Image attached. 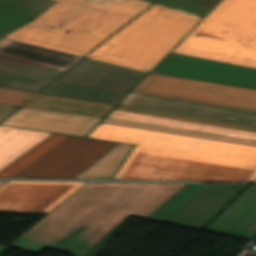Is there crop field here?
I'll return each mask as SVG.
<instances>
[{
  "label": "crop field",
  "mask_w": 256,
  "mask_h": 256,
  "mask_svg": "<svg viewBox=\"0 0 256 256\" xmlns=\"http://www.w3.org/2000/svg\"><path fill=\"white\" fill-rule=\"evenodd\" d=\"M207 184H188L147 219L163 222Z\"/></svg>",
  "instance_id": "24"
},
{
  "label": "crop field",
  "mask_w": 256,
  "mask_h": 256,
  "mask_svg": "<svg viewBox=\"0 0 256 256\" xmlns=\"http://www.w3.org/2000/svg\"><path fill=\"white\" fill-rule=\"evenodd\" d=\"M51 25L31 22L5 36L3 38L18 40L38 46H43L59 51H64L83 56L103 38L75 32L64 33L67 29L53 27Z\"/></svg>",
  "instance_id": "14"
},
{
  "label": "crop field",
  "mask_w": 256,
  "mask_h": 256,
  "mask_svg": "<svg viewBox=\"0 0 256 256\" xmlns=\"http://www.w3.org/2000/svg\"><path fill=\"white\" fill-rule=\"evenodd\" d=\"M16 107H10V106H3L0 105V120H2L4 117L9 115L11 112H13Z\"/></svg>",
  "instance_id": "30"
},
{
  "label": "crop field",
  "mask_w": 256,
  "mask_h": 256,
  "mask_svg": "<svg viewBox=\"0 0 256 256\" xmlns=\"http://www.w3.org/2000/svg\"><path fill=\"white\" fill-rule=\"evenodd\" d=\"M189 1L198 3L210 8H212L214 5H216L219 2V0H189Z\"/></svg>",
  "instance_id": "31"
},
{
  "label": "crop field",
  "mask_w": 256,
  "mask_h": 256,
  "mask_svg": "<svg viewBox=\"0 0 256 256\" xmlns=\"http://www.w3.org/2000/svg\"><path fill=\"white\" fill-rule=\"evenodd\" d=\"M86 57L149 72L164 55L107 40Z\"/></svg>",
  "instance_id": "17"
},
{
  "label": "crop field",
  "mask_w": 256,
  "mask_h": 256,
  "mask_svg": "<svg viewBox=\"0 0 256 256\" xmlns=\"http://www.w3.org/2000/svg\"><path fill=\"white\" fill-rule=\"evenodd\" d=\"M49 82L51 81L0 71V86L4 87L18 88L38 92Z\"/></svg>",
  "instance_id": "26"
},
{
  "label": "crop field",
  "mask_w": 256,
  "mask_h": 256,
  "mask_svg": "<svg viewBox=\"0 0 256 256\" xmlns=\"http://www.w3.org/2000/svg\"><path fill=\"white\" fill-rule=\"evenodd\" d=\"M41 93L116 104L125 94L53 82Z\"/></svg>",
  "instance_id": "21"
},
{
  "label": "crop field",
  "mask_w": 256,
  "mask_h": 256,
  "mask_svg": "<svg viewBox=\"0 0 256 256\" xmlns=\"http://www.w3.org/2000/svg\"><path fill=\"white\" fill-rule=\"evenodd\" d=\"M138 144L114 179L254 181L256 147L99 123L88 136Z\"/></svg>",
  "instance_id": "2"
},
{
  "label": "crop field",
  "mask_w": 256,
  "mask_h": 256,
  "mask_svg": "<svg viewBox=\"0 0 256 256\" xmlns=\"http://www.w3.org/2000/svg\"><path fill=\"white\" fill-rule=\"evenodd\" d=\"M115 109L129 111V112L142 113V114H148V115L167 117V118L186 120V121H193V122H199V123H205V124H212V125H218V126H224V127H231V128H237V129H243V130L256 131V128H253V127L221 123V122H215V121H209V120H202V119H196V118H190V117H184V116H177V115H171V114H165V113H158V112H152V111H146V110H140V109L121 107V106H117Z\"/></svg>",
  "instance_id": "27"
},
{
  "label": "crop field",
  "mask_w": 256,
  "mask_h": 256,
  "mask_svg": "<svg viewBox=\"0 0 256 256\" xmlns=\"http://www.w3.org/2000/svg\"><path fill=\"white\" fill-rule=\"evenodd\" d=\"M68 136L51 134L24 155L16 159L14 162L6 166L0 171L1 178H13L28 165L38 159L40 156L48 152L50 149L58 145Z\"/></svg>",
  "instance_id": "22"
},
{
  "label": "crop field",
  "mask_w": 256,
  "mask_h": 256,
  "mask_svg": "<svg viewBox=\"0 0 256 256\" xmlns=\"http://www.w3.org/2000/svg\"><path fill=\"white\" fill-rule=\"evenodd\" d=\"M5 182L0 181V186ZM185 185L88 183L8 247L0 246V254L14 247L82 255L125 217L147 218Z\"/></svg>",
  "instance_id": "1"
},
{
  "label": "crop field",
  "mask_w": 256,
  "mask_h": 256,
  "mask_svg": "<svg viewBox=\"0 0 256 256\" xmlns=\"http://www.w3.org/2000/svg\"><path fill=\"white\" fill-rule=\"evenodd\" d=\"M200 19L153 4L109 40L166 55Z\"/></svg>",
  "instance_id": "5"
},
{
  "label": "crop field",
  "mask_w": 256,
  "mask_h": 256,
  "mask_svg": "<svg viewBox=\"0 0 256 256\" xmlns=\"http://www.w3.org/2000/svg\"><path fill=\"white\" fill-rule=\"evenodd\" d=\"M9 40L8 39H0V48L7 43ZM0 70L1 71H6V72H11V73H17V74H22V75H28V76H33V77H39V78H44V79H50L53 80L57 76L61 74V72L41 68V67H36L20 62H15L7 59L0 58Z\"/></svg>",
  "instance_id": "25"
},
{
  "label": "crop field",
  "mask_w": 256,
  "mask_h": 256,
  "mask_svg": "<svg viewBox=\"0 0 256 256\" xmlns=\"http://www.w3.org/2000/svg\"><path fill=\"white\" fill-rule=\"evenodd\" d=\"M147 1H151V2H153L154 0H147Z\"/></svg>",
  "instance_id": "32"
},
{
  "label": "crop field",
  "mask_w": 256,
  "mask_h": 256,
  "mask_svg": "<svg viewBox=\"0 0 256 256\" xmlns=\"http://www.w3.org/2000/svg\"><path fill=\"white\" fill-rule=\"evenodd\" d=\"M119 105L256 127L255 111L177 98L130 92Z\"/></svg>",
  "instance_id": "9"
},
{
  "label": "crop field",
  "mask_w": 256,
  "mask_h": 256,
  "mask_svg": "<svg viewBox=\"0 0 256 256\" xmlns=\"http://www.w3.org/2000/svg\"><path fill=\"white\" fill-rule=\"evenodd\" d=\"M101 122L256 146V141L218 136V135H212V134H205V133H199V132H192V131H186V130H180V129L167 128V127H160V126H154V125H147V124H141V123H134V122H128V121H122V120L105 118Z\"/></svg>",
  "instance_id": "23"
},
{
  "label": "crop field",
  "mask_w": 256,
  "mask_h": 256,
  "mask_svg": "<svg viewBox=\"0 0 256 256\" xmlns=\"http://www.w3.org/2000/svg\"><path fill=\"white\" fill-rule=\"evenodd\" d=\"M85 184L8 181L0 187V213H48Z\"/></svg>",
  "instance_id": "8"
},
{
  "label": "crop field",
  "mask_w": 256,
  "mask_h": 256,
  "mask_svg": "<svg viewBox=\"0 0 256 256\" xmlns=\"http://www.w3.org/2000/svg\"><path fill=\"white\" fill-rule=\"evenodd\" d=\"M48 135V133L0 126V170Z\"/></svg>",
  "instance_id": "19"
},
{
  "label": "crop field",
  "mask_w": 256,
  "mask_h": 256,
  "mask_svg": "<svg viewBox=\"0 0 256 256\" xmlns=\"http://www.w3.org/2000/svg\"><path fill=\"white\" fill-rule=\"evenodd\" d=\"M0 104L105 117L114 105L0 87Z\"/></svg>",
  "instance_id": "15"
},
{
  "label": "crop field",
  "mask_w": 256,
  "mask_h": 256,
  "mask_svg": "<svg viewBox=\"0 0 256 256\" xmlns=\"http://www.w3.org/2000/svg\"><path fill=\"white\" fill-rule=\"evenodd\" d=\"M107 117L256 140V132L224 128V127H218V126H212V125H205V124H199V123H193V122H186V121H180V120H174V119H167V118H161V117H155V116H148V115H142V114H136V113H129V112H123V111H117V110H113Z\"/></svg>",
  "instance_id": "18"
},
{
  "label": "crop field",
  "mask_w": 256,
  "mask_h": 256,
  "mask_svg": "<svg viewBox=\"0 0 256 256\" xmlns=\"http://www.w3.org/2000/svg\"><path fill=\"white\" fill-rule=\"evenodd\" d=\"M31 21L32 20L0 13V37Z\"/></svg>",
  "instance_id": "29"
},
{
  "label": "crop field",
  "mask_w": 256,
  "mask_h": 256,
  "mask_svg": "<svg viewBox=\"0 0 256 256\" xmlns=\"http://www.w3.org/2000/svg\"><path fill=\"white\" fill-rule=\"evenodd\" d=\"M206 229L248 239L256 236V186L242 192Z\"/></svg>",
  "instance_id": "16"
},
{
  "label": "crop field",
  "mask_w": 256,
  "mask_h": 256,
  "mask_svg": "<svg viewBox=\"0 0 256 256\" xmlns=\"http://www.w3.org/2000/svg\"><path fill=\"white\" fill-rule=\"evenodd\" d=\"M101 119L103 118L20 107L0 125L83 137Z\"/></svg>",
  "instance_id": "12"
},
{
  "label": "crop field",
  "mask_w": 256,
  "mask_h": 256,
  "mask_svg": "<svg viewBox=\"0 0 256 256\" xmlns=\"http://www.w3.org/2000/svg\"><path fill=\"white\" fill-rule=\"evenodd\" d=\"M36 21L106 38L151 2L143 0H56ZM61 27V26H60Z\"/></svg>",
  "instance_id": "4"
},
{
  "label": "crop field",
  "mask_w": 256,
  "mask_h": 256,
  "mask_svg": "<svg viewBox=\"0 0 256 256\" xmlns=\"http://www.w3.org/2000/svg\"><path fill=\"white\" fill-rule=\"evenodd\" d=\"M155 4L203 17L210 8L185 0H158Z\"/></svg>",
  "instance_id": "28"
},
{
  "label": "crop field",
  "mask_w": 256,
  "mask_h": 256,
  "mask_svg": "<svg viewBox=\"0 0 256 256\" xmlns=\"http://www.w3.org/2000/svg\"><path fill=\"white\" fill-rule=\"evenodd\" d=\"M133 91L256 111V90L248 88L149 73Z\"/></svg>",
  "instance_id": "6"
},
{
  "label": "crop field",
  "mask_w": 256,
  "mask_h": 256,
  "mask_svg": "<svg viewBox=\"0 0 256 256\" xmlns=\"http://www.w3.org/2000/svg\"><path fill=\"white\" fill-rule=\"evenodd\" d=\"M172 52L256 68V0H222Z\"/></svg>",
  "instance_id": "3"
},
{
  "label": "crop field",
  "mask_w": 256,
  "mask_h": 256,
  "mask_svg": "<svg viewBox=\"0 0 256 256\" xmlns=\"http://www.w3.org/2000/svg\"><path fill=\"white\" fill-rule=\"evenodd\" d=\"M246 186L208 184L165 221L194 229L204 228Z\"/></svg>",
  "instance_id": "13"
},
{
  "label": "crop field",
  "mask_w": 256,
  "mask_h": 256,
  "mask_svg": "<svg viewBox=\"0 0 256 256\" xmlns=\"http://www.w3.org/2000/svg\"><path fill=\"white\" fill-rule=\"evenodd\" d=\"M151 72L256 89V69L173 53Z\"/></svg>",
  "instance_id": "10"
},
{
  "label": "crop field",
  "mask_w": 256,
  "mask_h": 256,
  "mask_svg": "<svg viewBox=\"0 0 256 256\" xmlns=\"http://www.w3.org/2000/svg\"><path fill=\"white\" fill-rule=\"evenodd\" d=\"M132 147L118 143L74 179H112Z\"/></svg>",
  "instance_id": "20"
},
{
  "label": "crop field",
  "mask_w": 256,
  "mask_h": 256,
  "mask_svg": "<svg viewBox=\"0 0 256 256\" xmlns=\"http://www.w3.org/2000/svg\"><path fill=\"white\" fill-rule=\"evenodd\" d=\"M115 144L70 136L14 178L73 179Z\"/></svg>",
  "instance_id": "7"
},
{
  "label": "crop field",
  "mask_w": 256,
  "mask_h": 256,
  "mask_svg": "<svg viewBox=\"0 0 256 256\" xmlns=\"http://www.w3.org/2000/svg\"><path fill=\"white\" fill-rule=\"evenodd\" d=\"M146 74L84 58L55 81L127 93Z\"/></svg>",
  "instance_id": "11"
}]
</instances>
